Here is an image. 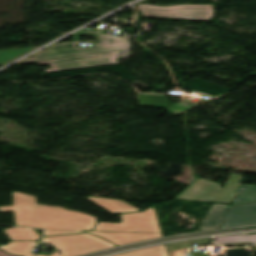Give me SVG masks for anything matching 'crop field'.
Returning <instances> with one entry per match:
<instances>
[{
    "label": "crop field",
    "instance_id": "ac0d7876",
    "mask_svg": "<svg viewBox=\"0 0 256 256\" xmlns=\"http://www.w3.org/2000/svg\"><path fill=\"white\" fill-rule=\"evenodd\" d=\"M80 35L98 37L99 31L83 30L75 34L74 42L56 44L34 55L35 58H28L23 62L78 56V55L93 54V53H100V52H107V51H115V50H121V54H120L121 58L128 57L130 44L128 42L129 37L127 36H124V38H117V37L101 34L100 44L94 45V47H91V48H76L75 45H78L80 42L79 40Z\"/></svg>",
    "mask_w": 256,
    "mask_h": 256
},
{
    "label": "crop field",
    "instance_id": "8a807250",
    "mask_svg": "<svg viewBox=\"0 0 256 256\" xmlns=\"http://www.w3.org/2000/svg\"><path fill=\"white\" fill-rule=\"evenodd\" d=\"M12 197L13 206L0 207V212L14 211L15 223L18 226L82 230L92 229L97 220L89 214L37 204L35 197L31 195L13 192Z\"/></svg>",
    "mask_w": 256,
    "mask_h": 256
},
{
    "label": "crop field",
    "instance_id": "bc2a9ffb",
    "mask_svg": "<svg viewBox=\"0 0 256 256\" xmlns=\"http://www.w3.org/2000/svg\"><path fill=\"white\" fill-rule=\"evenodd\" d=\"M168 252H169V256H184L182 249L171 250V251H168Z\"/></svg>",
    "mask_w": 256,
    "mask_h": 256
},
{
    "label": "crop field",
    "instance_id": "5142ce71",
    "mask_svg": "<svg viewBox=\"0 0 256 256\" xmlns=\"http://www.w3.org/2000/svg\"><path fill=\"white\" fill-rule=\"evenodd\" d=\"M113 256H168V252L166 250L165 245H163V246L147 248V249H142L137 251L120 253Z\"/></svg>",
    "mask_w": 256,
    "mask_h": 256
},
{
    "label": "crop field",
    "instance_id": "22f410ed",
    "mask_svg": "<svg viewBox=\"0 0 256 256\" xmlns=\"http://www.w3.org/2000/svg\"><path fill=\"white\" fill-rule=\"evenodd\" d=\"M245 242L256 243V233L217 237L213 246Z\"/></svg>",
    "mask_w": 256,
    "mask_h": 256
},
{
    "label": "crop field",
    "instance_id": "dd49c442",
    "mask_svg": "<svg viewBox=\"0 0 256 256\" xmlns=\"http://www.w3.org/2000/svg\"><path fill=\"white\" fill-rule=\"evenodd\" d=\"M143 16L182 18L190 20H209L213 15L212 5H175L158 7L150 5H137Z\"/></svg>",
    "mask_w": 256,
    "mask_h": 256
},
{
    "label": "crop field",
    "instance_id": "28ad6ade",
    "mask_svg": "<svg viewBox=\"0 0 256 256\" xmlns=\"http://www.w3.org/2000/svg\"><path fill=\"white\" fill-rule=\"evenodd\" d=\"M229 206L230 205L212 204L199 231L219 228Z\"/></svg>",
    "mask_w": 256,
    "mask_h": 256
},
{
    "label": "crop field",
    "instance_id": "f4fd0767",
    "mask_svg": "<svg viewBox=\"0 0 256 256\" xmlns=\"http://www.w3.org/2000/svg\"><path fill=\"white\" fill-rule=\"evenodd\" d=\"M120 218L121 223L98 222L94 230L161 232L154 208L145 212L123 214Z\"/></svg>",
    "mask_w": 256,
    "mask_h": 256
},
{
    "label": "crop field",
    "instance_id": "5a996713",
    "mask_svg": "<svg viewBox=\"0 0 256 256\" xmlns=\"http://www.w3.org/2000/svg\"><path fill=\"white\" fill-rule=\"evenodd\" d=\"M96 234L118 246L141 242L152 238L163 237L162 234H143V233H112V232H88Z\"/></svg>",
    "mask_w": 256,
    "mask_h": 256
},
{
    "label": "crop field",
    "instance_id": "d1516ede",
    "mask_svg": "<svg viewBox=\"0 0 256 256\" xmlns=\"http://www.w3.org/2000/svg\"><path fill=\"white\" fill-rule=\"evenodd\" d=\"M37 242H11L0 248L10 254L18 256H35L31 253Z\"/></svg>",
    "mask_w": 256,
    "mask_h": 256
},
{
    "label": "crop field",
    "instance_id": "3316defc",
    "mask_svg": "<svg viewBox=\"0 0 256 256\" xmlns=\"http://www.w3.org/2000/svg\"><path fill=\"white\" fill-rule=\"evenodd\" d=\"M90 201L102 207L111 214L140 211L128 203L120 200L87 197Z\"/></svg>",
    "mask_w": 256,
    "mask_h": 256
},
{
    "label": "crop field",
    "instance_id": "cbeb9de0",
    "mask_svg": "<svg viewBox=\"0 0 256 256\" xmlns=\"http://www.w3.org/2000/svg\"><path fill=\"white\" fill-rule=\"evenodd\" d=\"M4 232L11 240H38L40 237L34 229L27 228L5 229Z\"/></svg>",
    "mask_w": 256,
    "mask_h": 256
},
{
    "label": "crop field",
    "instance_id": "34b2d1b8",
    "mask_svg": "<svg viewBox=\"0 0 256 256\" xmlns=\"http://www.w3.org/2000/svg\"><path fill=\"white\" fill-rule=\"evenodd\" d=\"M242 178V175L230 174L223 188L216 183L199 178L177 195L176 198L230 203L240 187Z\"/></svg>",
    "mask_w": 256,
    "mask_h": 256
},
{
    "label": "crop field",
    "instance_id": "e52e79f7",
    "mask_svg": "<svg viewBox=\"0 0 256 256\" xmlns=\"http://www.w3.org/2000/svg\"><path fill=\"white\" fill-rule=\"evenodd\" d=\"M118 54L119 51H115L108 53L36 62L35 64H50L52 69H48L46 70V72L64 71L100 65L116 64L118 63L115 61L118 58Z\"/></svg>",
    "mask_w": 256,
    "mask_h": 256
},
{
    "label": "crop field",
    "instance_id": "214f88e0",
    "mask_svg": "<svg viewBox=\"0 0 256 256\" xmlns=\"http://www.w3.org/2000/svg\"><path fill=\"white\" fill-rule=\"evenodd\" d=\"M209 256H212V255H209Z\"/></svg>",
    "mask_w": 256,
    "mask_h": 256
},
{
    "label": "crop field",
    "instance_id": "4a817a6b",
    "mask_svg": "<svg viewBox=\"0 0 256 256\" xmlns=\"http://www.w3.org/2000/svg\"><path fill=\"white\" fill-rule=\"evenodd\" d=\"M66 233H80V232H68V231H46L45 236L54 234H66Z\"/></svg>",
    "mask_w": 256,
    "mask_h": 256
},
{
    "label": "crop field",
    "instance_id": "d9b57169",
    "mask_svg": "<svg viewBox=\"0 0 256 256\" xmlns=\"http://www.w3.org/2000/svg\"><path fill=\"white\" fill-rule=\"evenodd\" d=\"M256 201V186L241 185L233 203Z\"/></svg>",
    "mask_w": 256,
    "mask_h": 256
},
{
    "label": "crop field",
    "instance_id": "733c2abd",
    "mask_svg": "<svg viewBox=\"0 0 256 256\" xmlns=\"http://www.w3.org/2000/svg\"><path fill=\"white\" fill-rule=\"evenodd\" d=\"M33 48L0 50V64H3Z\"/></svg>",
    "mask_w": 256,
    "mask_h": 256
},
{
    "label": "crop field",
    "instance_id": "d8731c3e",
    "mask_svg": "<svg viewBox=\"0 0 256 256\" xmlns=\"http://www.w3.org/2000/svg\"><path fill=\"white\" fill-rule=\"evenodd\" d=\"M256 224V203L231 205L220 228Z\"/></svg>",
    "mask_w": 256,
    "mask_h": 256
},
{
    "label": "crop field",
    "instance_id": "412701ff",
    "mask_svg": "<svg viewBox=\"0 0 256 256\" xmlns=\"http://www.w3.org/2000/svg\"><path fill=\"white\" fill-rule=\"evenodd\" d=\"M42 242L56 247L55 251L50 256H79L82 254L115 247V245L87 233L44 238ZM58 250L61 251L60 253H62V255H59L57 252ZM38 256L44 255L38 254Z\"/></svg>",
    "mask_w": 256,
    "mask_h": 256
}]
</instances>
